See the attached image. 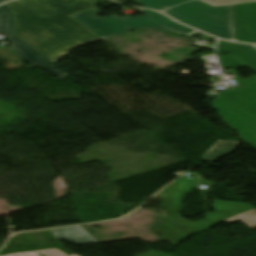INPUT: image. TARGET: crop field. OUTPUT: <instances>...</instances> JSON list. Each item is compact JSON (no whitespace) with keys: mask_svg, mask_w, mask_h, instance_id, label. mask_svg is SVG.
<instances>
[{"mask_svg":"<svg viewBox=\"0 0 256 256\" xmlns=\"http://www.w3.org/2000/svg\"><path fill=\"white\" fill-rule=\"evenodd\" d=\"M18 0L7 3L14 35L52 63L70 50L101 40L71 16L93 9L96 0Z\"/></svg>","mask_w":256,"mask_h":256,"instance_id":"crop-field-1","label":"crop field"},{"mask_svg":"<svg viewBox=\"0 0 256 256\" xmlns=\"http://www.w3.org/2000/svg\"><path fill=\"white\" fill-rule=\"evenodd\" d=\"M218 38L233 40V5L212 7L198 0H133ZM164 6H167L166 8Z\"/></svg>","mask_w":256,"mask_h":256,"instance_id":"crop-field-2","label":"crop field"},{"mask_svg":"<svg viewBox=\"0 0 256 256\" xmlns=\"http://www.w3.org/2000/svg\"><path fill=\"white\" fill-rule=\"evenodd\" d=\"M240 84L239 88L218 95L212 107L230 128L239 132L241 140L256 147V77Z\"/></svg>","mask_w":256,"mask_h":256,"instance_id":"crop-field-3","label":"crop field"},{"mask_svg":"<svg viewBox=\"0 0 256 256\" xmlns=\"http://www.w3.org/2000/svg\"><path fill=\"white\" fill-rule=\"evenodd\" d=\"M140 12L146 16L135 18V17H118L116 15L100 18L94 17L97 14V9H93L84 13L74 15L76 20L98 35L100 38H109L132 29H143V28H161L163 30L184 34L192 35L197 31L181 26L162 14L156 13L150 10L140 9Z\"/></svg>","mask_w":256,"mask_h":256,"instance_id":"crop-field-4","label":"crop field"},{"mask_svg":"<svg viewBox=\"0 0 256 256\" xmlns=\"http://www.w3.org/2000/svg\"><path fill=\"white\" fill-rule=\"evenodd\" d=\"M213 208H215L216 210L213 211V214L205 215L207 218L206 220H203L200 222H193L191 224L187 220H184L179 223H175L181 226L182 228H184V230L186 231L185 233H182L175 226V224L171 225L169 222H165L155 227V230L153 231L175 246L176 244L181 242L183 239L188 237L190 234L198 230H205L217 224L218 222H220L225 218L253 209V207H251L249 204L220 201V200L214 201ZM203 223L205 224L203 225Z\"/></svg>","mask_w":256,"mask_h":256,"instance_id":"crop-field-5","label":"crop field"},{"mask_svg":"<svg viewBox=\"0 0 256 256\" xmlns=\"http://www.w3.org/2000/svg\"><path fill=\"white\" fill-rule=\"evenodd\" d=\"M0 34L6 37L10 44L9 47L30 64L27 66L28 68L39 65L59 79L67 76L66 72L53 65L47 58L13 35V16L6 5L0 6Z\"/></svg>","mask_w":256,"mask_h":256,"instance_id":"crop-field-6","label":"crop field"},{"mask_svg":"<svg viewBox=\"0 0 256 256\" xmlns=\"http://www.w3.org/2000/svg\"><path fill=\"white\" fill-rule=\"evenodd\" d=\"M235 39L256 44V3L234 5Z\"/></svg>","mask_w":256,"mask_h":256,"instance_id":"crop-field-7","label":"crop field"},{"mask_svg":"<svg viewBox=\"0 0 256 256\" xmlns=\"http://www.w3.org/2000/svg\"><path fill=\"white\" fill-rule=\"evenodd\" d=\"M193 181L194 180L192 179L182 178L178 185L171 183L165 189L162 190V192H165L168 196V198L163 199L162 201L175 221L180 220V217L178 216L177 212L181 205L185 191L191 190Z\"/></svg>","mask_w":256,"mask_h":256,"instance_id":"crop-field-8","label":"crop field"},{"mask_svg":"<svg viewBox=\"0 0 256 256\" xmlns=\"http://www.w3.org/2000/svg\"><path fill=\"white\" fill-rule=\"evenodd\" d=\"M218 46L256 71V48L251 45L219 41Z\"/></svg>","mask_w":256,"mask_h":256,"instance_id":"crop-field-9","label":"crop field"},{"mask_svg":"<svg viewBox=\"0 0 256 256\" xmlns=\"http://www.w3.org/2000/svg\"><path fill=\"white\" fill-rule=\"evenodd\" d=\"M52 232L57 237V239H64L78 245L97 243L80 226L54 229ZM59 236H61V238H59Z\"/></svg>","mask_w":256,"mask_h":256,"instance_id":"crop-field-10","label":"crop field"},{"mask_svg":"<svg viewBox=\"0 0 256 256\" xmlns=\"http://www.w3.org/2000/svg\"><path fill=\"white\" fill-rule=\"evenodd\" d=\"M238 144L239 142L219 140V142L209 150L201 160L209 162L216 161L221 155L232 153Z\"/></svg>","mask_w":256,"mask_h":256,"instance_id":"crop-field-11","label":"crop field"},{"mask_svg":"<svg viewBox=\"0 0 256 256\" xmlns=\"http://www.w3.org/2000/svg\"><path fill=\"white\" fill-rule=\"evenodd\" d=\"M238 220L243 222L250 229H255L256 228V209L233 216L231 218L225 219L224 221L228 224H232Z\"/></svg>","mask_w":256,"mask_h":256,"instance_id":"crop-field-12","label":"crop field"},{"mask_svg":"<svg viewBox=\"0 0 256 256\" xmlns=\"http://www.w3.org/2000/svg\"><path fill=\"white\" fill-rule=\"evenodd\" d=\"M219 60L222 64L223 69H228L230 67H238V68L247 67L245 64H243L242 62H240L238 59H236L230 54L219 57Z\"/></svg>","mask_w":256,"mask_h":256,"instance_id":"crop-field-13","label":"crop field"},{"mask_svg":"<svg viewBox=\"0 0 256 256\" xmlns=\"http://www.w3.org/2000/svg\"><path fill=\"white\" fill-rule=\"evenodd\" d=\"M46 252L51 253V254L49 255ZM41 254H43L45 256H68L67 254H65L57 249L40 251V252L19 253V254H14V255H9V256H40ZM71 256H77V255L73 254Z\"/></svg>","mask_w":256,"mask_h":256,"instance_id":"crop-field-14","label":"crop field"},{"mask_svg":"<svg viewBox=\"0 0 256 256\" xmlns=\"http://www.w3.org/2000/svg\"><path fill=\"white\" fill-rule=\"evenodd\" d=\"M201 1L207 2L213 6L256 2V0H201Z\"/></svg>","mask_w":256,"mask_h":256,"instance_id":"crop-field-15","label":"crop field"},{"mask_svg":"<svg viewBox=\"0 0 256 256\" xmlns=\"http://www.w3.org/2000/svg\"><path fill=\"white\" fill-rule=\"evenodd\" d=\"M3 1H9V0H3Z\"/></svg>","mask_w":256,"mask_h":256,"instance_id":"crop-field-16","label":"crop field"},{"mask_svg":"<svg viewBox=\"0 0 256 256\" xmlns=\"http://www.w3.org/2000/svg\"><path fill=\"white\" fill-rule=\"evenodd\" d=\"M2 2V0H0V3ZM3 3V2H2Z\"/></svg>","mask_w":256,"mask_h":256,"instance_id":"crop-field-17","label":"crop field"}]
</instances>
